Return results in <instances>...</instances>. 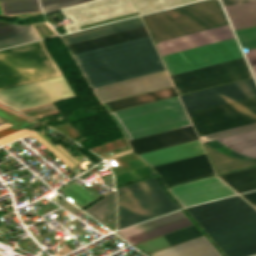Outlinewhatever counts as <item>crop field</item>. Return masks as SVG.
Listing matches in <instances>:
<instances>
[{"label": "crop field", "mask_w": 256, "mask_h": 256, "mask_svg": "<svg viewBox=\"0 0 256 256\" xmlns=\"http://www.w3.org/2000/svg\"><path fill=\"white\" fill-rule=\"evenodd\" d=\"M244 57L236 39H230L166 56L162 60L170 75ZM244 58L170 76L178 93L251 77Z\"/></svg>", "instance_id": "obj_1"}, {"label": "crop field", "mask_w": 256, "mask_h": 256, "mask_svg": "<svg viewBox=\"0 0 256 256\" xmlns=\"http://www.w3.org/2000/svg\"><path fill=\"white\" fill-rule=\"evenodd\" d=\"M74 57L91 88L165 70L150 37Z\"/></svg>", "instance_id": "obj_2"}, {"label": "crop field", "mask_w": 256, "mask_h": 256, "mask_svg": "<svg viewBox=\"0 0 256 256\" xmlns=\"http://www.w3.org/2000/svg\"><path fill=\"white\" fill-rule=\"evenodd\" d=\"M154 42L229 24L218 0L142 16Z\"/></svg>", "instance_id": "obj_3"}, {"label": "crop field", "mask_w": 256, "mask_h": 256, "mask_svg": "<svg viewBox=\"0 0 256 256\" xmlns=\"http://www.w3.org/2000/svg\"><path fill=\"white\" fill-rule=\"evenodd\" d=\"M111 114L128 140L191 125L177 97Z\"/></svg>", "instance_id": "obj_4"}, {"label": "crop field", "mask_w": 256, "mask_h": 256, "mask_svg": "<svg viewBox=\"0 0 256 256\" xmlns=\"http://www.w3.org/2000/svg\"><path fill=\"white\" fill-rule=\"evenodd\" d=\"M60 75L42 41L0 51V90Z\"/></svg>", "instance_id": "obj_5"}, {"label": "crop field", "mask_w": 256, "mask_h": 256, "mask_svg": "<svg viewBox=\"0 0 256 256\" xmlns=\"http://www.w3.org/2000/svg\"><path fill=\"white\" fill-rule=\"evenodd\" d=\"M118 191L117 229L174 211L180 207L168 196L156 177Z\"/></svg>", "instance_id": "obj_6"}, {"label": "crop field", "mask_w": 256, "mask_h": 256, "mask_svg": "<svg viewBox=\"0 0 256 256\" xmlns=\"http://www.w3.org/2000/svg\"><path fill=\"white\" fill-rule=\"evenodd\" d=\"M199 136L256 122V96L188 113Z\"/></svg>", "instance_id": "obj_7"}, {"label": "crop field", "mask_w": 256, "mask_h": 256, "mask_svg": "<svg viewBox=\"0 0 256 256\" xmlns=\"http://www.w3.org/2000/svg\"><path fill=\"white\" fill-rule=\"evenodd\" d=\"M186 209L206 232L256 220V210L240 196Z\"/></svg>", "instance_id": "obj_8"}, {"label": "crop field", "mask_w": 256, "mask_h": 256, "mask_svg": "<svg viewBox=\"0 0 256 256\" xmlns=\"http://www.w3.org/2000/svg\"><path fill=\"white\" fill-rule=\"evenodd\" d=\"M256 95L253 79L180 96L187 112Z\"/></svg>", "instance_id": "obj_9"}, {"label": "crop field", "mask_w": 256, "mask_h": 256, "mask_svg": "<svg viewBox=\"0 0 256 256\" xmlns=\"http://www.w3.org/2000/svg\"><path fill=\"white\" fill-rule=\"evenodd\" d=\"M166 71L94 88L102 103L173 86Z\"/></svg>", "instance_id": "obj_10"}, {"label": "crop field", "mask_w": 256, "mask_h": 256, "mask_svg": "<svg viewBox=\"0 0 256 256\" xmlns=\"http://www.w3.org/2000/svg\"><path fill=\"white\" fill-rule=\"evenodd\" d=\"M208 234L227 256L256 254V221Z\"/></svg>", "instance_id": "obj_11"}, {"label": "crop field", "mask_w": 256, "mask_h": 256, "mask_svg": "<svg viewBox=\"0 0 256 256\" xmlns=\"http://www.w3.org/2000/svg\"><path fill=\"white\" fill-rule=\"evenodd\" d=\"M166 186L215 174L206 155H199L153 167Z\"/></svg>", "instance_id": "obj_12"}, {"label": "crop field", "mask_w": 256, "mask_h": 256, "mask_svg": "<svg viewBox=\"0 0 256 256\" xmlns=\"http://www.w3.org/2000/svg\"><path fill=\"white\" fill-rule=\"evenodd\" d=\"M183 206L236 194L217 177L170 188Z\"/></svg>", "instance_id": "obj_13"}, {"label": "crop field", "mask_w": 256, "mask_h": 256, "mask_svg": "<svg viewBox=\"0 0 256 256\" xmlns=\"http://www.w3.org/2000/svg\"><path fill=\"white\" fill-rule=\"evenodd\" d=\"M234 37L235 36L230 26L227 25L211 30L160 41L155 45L160 55L162 56Z\"/></svg>", "instance_id": "obj_14"}, {"label": "crop field", "mask_w": 256, "mask_h": 256, "mask_svg": "<svg viewBox=\"0 0 256 256\" xmlns=\"http://www.w3.org/2000/svg\"><path fill=\"white\" fill-rule=\"evenodd\" d=\"M198 139L192 126L129 141L137 154Z\"/></svg>", "instance_id": "obj_15"}, {"label": "crop field", "mask_w": 256, "mask_h": 256, "mask_svg": "<svg viewBox=\"0 0 256 256\" xmlns=\"http://www.w3.org/2000/svg\"><path fill=\"white\" fill-rule=\"evenodd\" d=\"M205 153L199 140L140 154L151 166ZM148 164V165H149Z\"/></svg>", "instance_id": "obj_16"}, {"label": "crop field", "mask_w": 256, "mask_h": 256, "mask_svg": "<svg viewBox=\"0 0 256 256\" xmlns=\"http://www.w3.org/2000/svg\"><path fill=\"white\" fill-rule=\"evenodd\" d=\"M149 36L145 27H139L111 35H107L104 37L68 45L69 50L72 54L84 52L88 50H93L97 48H102L106 46H111L143 37Z\"/></svg>", "instance_id": "obj_17"}, {"label": "crop field", "mask_w": 256, "mask_h": 256, "mask_svg": "<svg viewBox=\"0 0 256 256\" xmlns=\"http://www.w3.org/2000/svg\"><path fill=\"white\" fill-rule=\"evenodd\" d=\"M143 25L144 24H143L141 18L136 17V18H132V19H128V20H124V21H120V22H116V23H112V24H108V25H104V26L76 32V33H72V34H68V35H64L61 37L64 40V42L66 43V45H68V44L104 36L107 34L131 29V28H135V27H139V26H143Z\"/></svg>", "instance_id": "obj_18"}, {"label": "crop field", "mask_w": 256, "mask_h": 256, "mask_svg": "<svg viewBox=\"0 0 256 256\" xmlns=\"http://www.w3.org/2000/svg\"><path fill=\"white\" fill-rule=\"evenodd\" d=\"M151 256H221L205 236L150 254Z\"/></svg>", "instance_id": "obj_19"}, {"label": "crop field", "mask_w": 256, "mask_h": 256, "mask_svg": "<svg viewBox=\"0 0 256 256\" xmlns=\"http://www.w3.org/2000/svg\"><path fill=\"white\" fill-rule=\"evenodd\" d=\"M235 0H221L222 3ZM234 29L256 25V0H240L223 4Z\"/></svg>", "instance_id": "obj_20"}, {"label": "crop field", "mask_w": 256, "mask_h": 256, "mask_svg": "<svg viewBox=\"0 0 256 256\" xmlns=\"http://www.w3.org/2000/svg\"><path fill=\"white\" fill-rule=\"evenodd\" d=\"M198 236H201L200 232L195 228L194 225H192V226L177 230L175 232L160 236V238L164 241V243L168 247H170L178 243L193 239ZM160 238L157 237V238L144 241L135 245L147 253L160 250L163 248H167V246L163 243V241Z\"/></svg>", "instance_id": "obj_21"}, {"label": "crop field", "mask_w": 256, "mask_h": 256, "mask_svg": "<svg viewBox=\"0 0 256 256\" xmlns=\"http://www.w3.org/2000/svg\"><path fill=\"white\" fill-rule=\"evenodd\" d=\"M9 23L0 22V26ZM41 39L30 26L11 24L0 27V48Z\"/></svg>", "instance_id": "obj_22"}, {"label": "crop field", "mask_w": 256, "mask_h": 256, "mask_svg": "<svg viewBox=\"0 0 256 256\" xmlns=\"http://www.w3.org/2000/svg\"><path fill=\"white\" fill-rule=\"evenodd\" d=\"M177 95L174 88H167L159 91H154L138 96H133L121 100H116L108 103H104L103 106L107 109L108 112L119 110L123 108H128L136 105H140L143 103L151 102L154 100L170 97Z\"/></svg>", "instance_id": "obj_23"}, {"label": "crop field", "mask_w": 256, "mask_h": 256, "mask_svg": "<svg viewBox=\"0 0 256 256\" xmlns=\"http://www.w3.org/2000/svg\"><path fill=\"white\" fill-rule=\"evenodd\" d=\"M203 145L217 174L256 164V161L250 159H240L227 156L206 143Z\"/></svg>", "instance_id": "obj_24"}, {"label": "crop field", "mask_w": 256, "mask_h": 256, "mask_svg": "<svg viewBox=\"0 0 256 256\" xmlns=\"http://www.w3.org/2000/svg\"><path fill=\"white\" fill-rule=\"evenodd\" d=\"M219 177L239 193L256 189V167L230 172Z\"/></svg>", "instance_id": "obj_25"}, {"label": "crop field", "mask_w": 256, "mask_h": 256, "mask_svg": "<svg viewBox=\"0 0 256 256\" xmlns=\"http://www.w3.org/2000/svg\"><path fill=\"white\" fill-rule=\"evenodd\" d=\"M186 218L182 211H178L151 221H147L120 231L116 233L121 236L123 239L137 235L139 233L169 224L171 222Z\"/></svg>", "instance_id": "obj_26"}, {"label": "crop field", "mask_w": 256, "mask_h": 256, "mask_svg": "<svg viewBox=\"0 0 256 256\" xmlns=\"http://www.w3.org/2000/svg\"><path fill=\"white\" fill-rule=\"evenodd\" d=\"M115 207H116V194L115 192L104 197L95 205L84 210L88 214L94 216L100 222L102 221H112L115 219Z\"/></svg>", "instance_id": "obj_27"}, {"label": "crop field", "mask_w": 256, "mask_h": 256, "mask_svg": "<svg viewBox=\"0 0 256 256\" xmlns=\"http://www.w3.org/2000/svg\"><path fill=\"white\" fill-rule=\"evenodd\" d=\"M224 144L256 157V131L220 139Z\"/></svg>", "instance_id": "obj_28"}, {"label": "crop field", "mask_w": 256, "mask_h": 256, "mask_svg": "<svg viewBox=\"0 0 256 256\" xmlns=\"http://www.w3.org/2000/svg\"><path fill=\"white\" fill-rule=\"evenodd\" d=\"M235 33L242 47L246 46L247 48L245 49L256 47V27L236 30ZM244 54L252 68L254 75H256V48L245 50Z\"/></svg>", "instance_id": "obj_29"}, {"label": "crop field", "mask_w": 256, "mask_h": 256, "mask_svg": "<svg viewBox=\"0 0 256 256\" xmlns=\"http://www.w3.org/2000/svg\"><path fill=\"white\" fill-rule=\"evenodd\" d=\"M189 225H192V223L189 221L188 218H186V219H183V220L174 222L172 224L142 233L140 235H137V236L125 239V240L131 244H134V243H137V242H140V241H143V240H146V239H149V238L161 235V234H165V233H168V232H171V231H174V230H177V229L189 226Z\"/></svg>", "instance_id": "obj_30"}, {"label": "crop field", "mask_w": 256, "mask_h": 256, "mask_svg": "<svg viewBox=\"0 0 256 256\" xmlns=\"http://www.w3.org/2000/svg\"><path fill=\"white\" fill-rule=\"evenodd\" d=\"M0 117L5 120L8 123H11L15 126L5 129L3 131H0V138L6 135H9L11 133H14L16 131L21 130L22 128L35 124L3 107L0 106Z\"/></svg>", "instance_id": "obj_31"}, {"label": "crop field", "mask_w": 256, "mask_h": 256, "mask_svg": "<svg viewBox=\"0 0 256 256\" xmlns=\"http://www.w3.org/2000/svg\"><path fill=\"white\" fill-rule=\"evenodd\" d=\"M5 15L41 11L37 0L2 3Z\"/></svg>", "instance_id": "obj_32"}, {"label": "crop field", "mask_w": 256, "mask_h": 256, "mask_svg": "<svg viewBox=\"0 0 256 256\" xmlns=\"http://www.w3.org/2000/svg\"><path fill=\"white\" fill-rule=\"evenodd\" d=\"M252 130H256V123L238 127V128H234V129H230V130H226V131H222V132H218V133H214V134H210V135L201 136L200 139H201L202 143H204V142L213 141V140H216L219 138H223V137H227V136H231V135H235V134H239V133H243V132H248V131H252Z\"/></svg>", "instance_id": "obj_33"}, {"label": "crop field", "mask_w": 256, "mask_h": 256, "mask_svg": "<svg viewBox=\"0 0 256 256\" xmlns=\"http://www.w3.org/2000/svg\"><path fill=\"white\" fill-rule=\"evenodd\" d=\"M83 1L86 0H40L44 12Z\"/></svg>", "instance_id": "obj_34"}, {"label": "crop field", "mask_w": 256, "mask_h": 256, "mask_svg": "<svg viewBox=\"0 0 256 256\" xmlns=\"http://www.w3.org/2000/svg\"><path fill=\"white\" fill-rule=\"evenodd\" d=\"M242 196L245 199H247L252 205L256 204V191L251 192V193H247V194H243Z\"/></svg>", "instance_id": "obj_35"}, {"label": "crop field", "mask_w": 256, "mask_h": 256, "mask_svg": "<svg viewBox=\"0 0 256 256\" xmlns=\"http://www.w3.org/2000/svg\"><path fill=\"white\" fill-rule=\"evenodd\" d=\"M46 18L48 19V21H49L50 23H53V22H54V20L51 19L50 15H47Z\"/></svg>", "instance_id": "obj_36"}, {"label": "crop field", "mask_w": 256, "mask_h": 256, "mask_svg": "<svg viewBox=\"0 0 256 256\" xmlns=\"http://www.w3.org/2000/svg\"><path fill=\"white\" fill-rule=\"evenodd\" d=\"M1 1H8V0H1Z\"/></svg>", "instance_id": "obj_37"}, {"label": "crop field", "mask_w": 256, "mask_h": 256, "mask_svg": "<svg viewBox=\"0 0 256 256\" xmlns=\"http://www.w3.org/2000/svg\"><path fill=\"white\" fill-rule=\"evenodd\" d=\"M254 207H256V205Z\"/></svg>", "instance_id": "obj_38"}, {"label": "crop field", "mask_w": 256, "mask_h": 256, "mask_svg": "<svg viewBox=\"0 0 256 256\" xmlns=\"http://www.w3.org/2000/svg\"><path fill=\"white\" fill-rule=\"evenodd\" d=\"M256 159V158H255Z\"/></svg>", "instance_id": "obj_39"}, {"label": "crop field", "mask_w": 256, "mask_h": 256, "mask_svg": "<svg viewBox=\"0 0 256 256\" xmlns=\"http://www.w3.org/2000/svg\"><path fill=\"white\" fill-rule=\"evenodd\" d=\"M256 78V77H255Z\"/></svg>", "instance_id": "obj_40"}]
</instances>
